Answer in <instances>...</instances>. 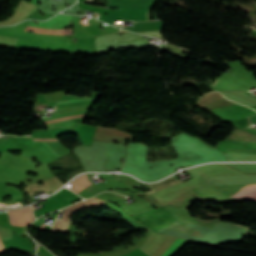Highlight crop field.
<instances>
[{
  "instance_id": "crop-field-1",
  "label": "crop field",
  "mask_w": 256,
  "mask_h": 256,
  "mask_svg": "<svg viewBox=\"0 0 256 256\" xmlns=\"http://www.w3.org/2000/svg\"><path fill=\"white\" fill-rule=\"evenodd\" d=\"M94 0H86L92 3ZM156 0H108L107 6L118 8H152Z\"/></svg>"
},
{
  "instance_id": "crop-field-2",
  "label": "crop field",
  "mask_w": 256,
  "mask_h": 256,
  "mask_svg": "<svg viewBox=\"0 0 256 256\" xmlns=\"http://www.w3.org/2000/svg\"><path fill=\"white\" fill-rule=\"evenodd\" d=\"M11 224L25 226L33 219L32 208H21L17 210H9Z\"/></svg>"
},
{
  "instance_id": "crop-field-3",
  "label": "crop field",
  "mask_w": 256,
  "mask_h": 256,
  "mask_svg": "<svg viewBox=\"0 0 256 256\" xmlns=\"http://www.w3.org/2000/svg\"><path fill=\"white\" fill-rule=\"evenodd\" d=\"M73 16L71 15H62L59 14L51 19H49L46 22H39L38 25L35 24V22L30 21L28 25H34V26H47V27H65L70 23V20Z\"/></svg>"
},
{
  "instance_id": "crop-field-4",
  "label": "crop field",
  "mask_w": 256,
  "mask_h": 256,
  "mask_svg": "<svg viewBox=\"0 0 256 256\" xmlns=\"http://www.w3.org/2000/svg\"><path fill=\"white\" fill-rule=\"evenodd\" d=\"M34 140H57L56 138H34ZM51 150L59 157L70 150L66 149L62 146V144L59 141H44Z\"/></svg>"
},
{
  "instance_id": "crop-field-5",
  "label": "crop field",
  "mask_w": 256,
  "mask_h": 256,
  "mask_svg": "<svg viewBox=\"0 0 256 256\" xmlns=\"http://www.w3.org/2000/svg\"><path fill=\"white\" fill-rule=\"evenodd\" d=\"M70 184L73 185V186H71V189L78 193L79 191H81L82 189L91 185L92 183L90 181H88L87 175L84 174V175L77 177Z\"/></svg>"
},
{
  "instance_id": "crop-field-6",
  "label": "crop field",
  "mask_w": 256,
  "mask_h": 256,
  "mask_svg": "<svg viewBox=\"0 0 256 256\" xmlns=\"http://www.w3.org/2000/svg\"><path fill=\"white\" fill-rule=\"evenodd\" d=\"M236 194L256 196V185H247ZM242 195H234L232 197L256 200V197L242 196Z\"/></svg>"
},
{
  "instance_id": "crop-field-7",
  "label": "crop field",
  "mask_w": 256,
  "mask_h": 256,
  "mask_svg": "<svg viewBox=\"0 0 256 256\" xmlns=\"http://www.w3.org/2000/svg\"><path fill=\"white\" fill-rule=\"evenodd\" d=\"M86 207L87 206H86L85 202L83 201V202L71 205L65 209H62L61 213H64V215L61 219L68 220L73 211H76V210H79L82 208H86Z\"/></svg>"
},
{
  "instance_id": "crop-field-8",
  "label": "crop field",
  "mask_w": 256,
  "mask_h": 256,
  "mask_svg": "<svg viewBox=\"0 0 256 256\" xmlns=\"http://www.w3.org/2000/svg\"><path fill=\"white\" fill-rule=\"evenodd\" d=\"M69 223H70V222H66V221H62V220H57V222L54 224V226L52 227V229L58 230V231H61V232L65 233V232H66V229H67V227H68V225H69ZM71 224H72V223H70V225H69V227H68V229H67V232H68V230H69ZM71 228H72V226H71ZM71 228H70V230H69L68 233H71ZM67 232H66V233H67Z\"/></svg>"
},
{
  "instance_id": "crop-field-9",
  "label": "crop field",
  "mask_w": 256,
  "mask_h": 256,
  "mask_svg": "<svg viewBox=\"0 0 256 256\" xmlns=\"http://www.w3.org/2000/svg\"><path fill=\"white\" fill-rule=\"evenodd\" d=\"M82 113H87V111L84 112H74V113H68V114H64V115H57L54 118H58V117H64V116H70V115H76V114H82ZM86 115H82V116H74V117H68V118H62V119H55V120H48V121H44L45 124L51 123V122H59L65 119H71V118H77V117H83Z\"/></svg>"
},
{
  "instance_id": "crop-field-10",
  "label": "crop field",
  "mask_w": 256,
  "mask_h": 256,
  "mask_svg": "<svg viewBox=\"0 0 256 256\" xmlns=\"http://www.w3.org/2000/svg\"><path fill=\"white\" fill-rule=\"evenodd\" d=\"M186 240L178 238L174 244L163 254V256H170L180 245H182Z\"/></svg>"
},
{
  "instance_id": "crop-field-11",
  "label": "crop field",
  "mask_w": 256,
  "mask_h": 256,
  "mask_svg": "<svg viewBox=\"0 0 256 256\" xmlns=\"http://www.w3.org/2000/svg\"><path fill=\"white\" fill-rule=\"evenodd\" d=\"M5 248H4V246H3V244H2V242H1V239H0V251H3Z\"/></svg>"
},
{
  "instance_id": "crop-field-12",
  "label": "crop field",
  "mask_w": 256,
  "mask_h": 256,
  "mask_svg": "<svg viewBox=\"0 0 256 256\" xmlns=\"http://www.w3.org/2000/svg\"><path fill=\"white\" fill-rule=\"evenodd\" d=\"M253 33H255V34H256V30H253Z\"/></svg>"
},
{
  "instance_id": "crop-field-13",
  "label": "crop field",
  "mask_w": 256,
  "mask_h": 256,
  "mask_svg": "<svg viewBox=\"0 0 256 256\" xmlns=\"http://www.w3.org/2000/svg\"><path fill=\"white\" fill-rule=\"evenodd\" d=\"M241 226V225H240ZM245 227V226H244ZM245 228H247V227H245Z\"/></svg>"
}]
</instances>
